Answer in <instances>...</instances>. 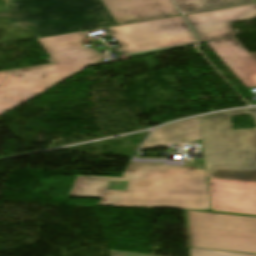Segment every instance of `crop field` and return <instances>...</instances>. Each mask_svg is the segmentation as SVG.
<instances>
[{"label":"crop field","instance_id":"8a807250","mask_svg":"<svg viewBox=\"0 0 256 256\" xmlns=\"http://www.w3.org/2000/svg\"><path fill=\"white\" fill-rule=\"evenodd\" d=\"M68 197L98 205L211 210L206 171L195 167L129 165L122 178L77 176Z\"/></svg>","mask_w":256,"mask_h":256},{"label":"crop field","instance_id":"ac0d7876","mask_svg":"<svg viewBox=\"0 0 256 256\" xmlns=\"http://www.w3.org/2000/svg\"><path fill=\"white\" fill-rule=\"evenodd\" d=\"M84 32L40 38L53 63L0 72V116L81 70L100 65L105 56L84 49Z\"/></svg>","mask_w":256,"mask_h":256},{"label":"crop field","instance_id":"34b2d1b8","mask_svg":"<svg viewBox=\"0 0 256 256\" xmlns=\"http://www.w3.org/2000/svg\"><path fill=\"white\" fill-rule=\"evenodd\" d=\"M199 121L207 176L256 182V128L231 130L228 111Z\"/></svg>","mask_w":256,"mask_h":256},{"label":"crop field","instance_id":"412701ff","mask_svg":"<svg viewBox=\"0 0 256 256\" xmlns=\"http://www.w3.org/2000/svg\"><path fill=\"white\" fill-rule=\"evenodd\" d=\"M0 12L10 23L38 20L36 38L117 25L101 0H18Z\"/></svg>","mask_w":256,"mask_h":256},{"label":"crop field","instance_id":"f4fd0767","mask_svg":"<svg viewBox=\"0 0 256 256\" xmlns=\"http://www.w3.org/2000/svg\"><path fill=\"white\" fill-rule=\"evenodd\" d=\"M190 247L256 254V217L185 210Z\"/></svg>","mask_w":256,"mask_h":256},{"label":"crop field","instance_id":"dd49c442","mask_svg":"<svg viewBox=\"0 0 256 256\" xmlns=\"http://www.w3.org/2000/svg\"><path fill=\"white\" fill-rule=\"evenodd\" d=\"M122 45L121 51L135 53L197 42L182 16L110 27Z\"/></svg>","mask_w":256,"mask_h":256},{"label":"crop field","instance_id":"e52e79f7","mask_svg":"<svg viewBox=\"0 0 256 256\" xmlns=\"http://www.w3.org/2000/svg\"><path fill=\"white\" fill-rule=\"evenodd\" d=\"M212 211L256 216V183L207 177Z\"/></svg>","mask_w":256,"mask_h":256},{"label":"crop field","instance_id":"d8731c3e","mask_svg":"<svg viewBox=\"0 0 256 256\" xmlns=\"http://www.w3.org/2000/svg\"><path fill=\"white\" fill-rule=\"evenodd\" d=\"M201 42L236 35L230 22L256 18V4L186 15Z\"/></svg>","mask_w":256,"mask_h":256},{"label":"crop field","instance_id":"5a996713","mask_svg":"<svg viewBox=\"0 0 256 256\" xmlns=\"http://www.w3.org/2000/svg\"><path fill=\"white\" fill-rule=\"evenodd\" d=\"M118 25L179 15L171 0H102Z\"/></svg>","mask_w":256,"mask_h":256},{"label":"crop field","instance_id":"3316defc","mask_svg":"<svg viewBox=\"0 0 256 256\" xmlns=\"http://www.w3.org/2000/svg\"><path fill=\"white\" fill-rule=\"evenodd\" d=\"M201 139L198 118L182 121L155 130L142 148Z\"/></svg>","mask_w":256,"mask_h":256},{"label":"crop field","instance_id":"28ad6ade","mask_svg":"<svg viewBox=\"0 0 256 256\" xmlns=\"http://www.w3.org/2000/svg\"><path fill=\"white\" fill-rule=\"evenodd\" d=\"M207 44L246 88L256 86V78L219 41Z\"/></svg>","mask_w":256,"mask_h":256},{"label":"crop field","instance_id":"d1516ede","mask_svg":"<svg viewBox=\"0 0 256 256\" xmlns=\"http://www.w3.org/2000/svg\"><path fill=\"white\" fill-rule=\"evenodd\" d=\"M183 13L220 8L255 0H175Z\"/></svg>","mask_w":256,"mask_h":256},{"label":"crop field","instance_id":"22f410ed","mask_svg":"<svg viewBox=\"0 0 256 256\" xmlns=\"http://www.w3.org/2000/svg\"><path fill=\"white\" fill-rule=\"evenodd\" d=\"M220 42L256 77V60L235 36Z\"/></svg>","mask_w":256,"mask_h":256},{"label":"crop field","instance_id":"cbeb9de0","mask_svg":"<svg viewBox=\"0 0 256 256\" xmlns=\"http://www.w3.org/2000/svg\"><path fill=\"white\" fill-rule=\"evenodd\" d=\"M191 256H256V255L191 248Z\"/></svg>","mask_w":256,"mask_h":256},{"label":"crop field","instance_id":"5142ce71","mask_svg":"<svg viewBox=\"0 0 256 256\" xmlns=\"http://www.w3.org/2000/svg\"><path fill=\"white\" fill-rule=\"evenodd\" d=\"M14 25L32 30L37 27V20L33 21H27V22H20V23H14Z\"/></svg>","mask_w":256,"mask_h":256},{"label":"crop field","instance_id":"d9b57169","mask_svg":"<svg viewBox=\"0 0 256 256\" xmlns=\"http://www.w3.org/2000/svg\"><path fill=\"white\" fill-rule=\"evenodd\" d=\"M109 253H110V256H149V255L123 253V252H113V251H109Z\"/></svg>","mask_w":256,"mask_h":256},{"label":"crop field","instance_id":"733c2abd","mask_svg":"<svg viewBox=\"0 0 256 256\" xmlns=\"http://www.w3.org/2000/svg\"><path fill=\"white\" fill-rule=\"evenodd\" d=\"M230 116L233 115H238V114H244V113H251L249 109H244V110H234V111H229Z\"/></svg>","mask_w":256,"mask_h":256},{"label":"crop field","instance_id":"4a817a6b","mask_svg":"<svg viewBox=\"0 0 256 256\" xmlns=\"http://www.w3.org/2000/svg\"><path fill=\"white\" fill-rule=\"evenodd\" d=\"M254 57H255V59H256V52H254V53H251Z\"/></svg>","mask_w":256,"mask_h":256},{"label":"crop field","instance_id":"bc2a9ffb","mask_svg":"<svg viewBox=\"0 0 256 256\" xmlns=\"http://www.w3.org/2000/svg\"><path fill=\"white\" fill-rule=\"evenodd\" d=\"M6 1H9V0H6Z\"/></svg>","mask_w":256,"mask_h":256}]
</instances>
